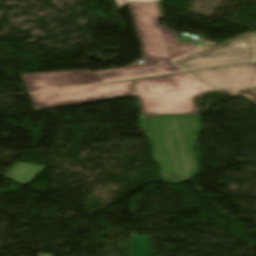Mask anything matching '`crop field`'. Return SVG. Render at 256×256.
Returning <instances> with one entry per match:
<instances>
[{"mask_svg":"<svg viewBox=\"0 0 256 256\" xmlns=\"http://www.w3.org/2000/svg\"><path fill=\"white\" fill-rule=\"evenodd\" d=\"M190 73L224 95H243L256 103V62Z\"/></svg>","mask_w":256,"mask_h":256,"instance_id":"obj_5","label":"crop field"},{"mask_svg":"<svg viewBox=\"0 0 256 256\" xmlns=\"http://www.w3.org/2000/svg\"><path fill=\"white\" fill-rule=\"evenodd\" d=\"M134 81L143 116L197 114L194 98L215 91L188 72Z\"/></svg>","mask_w":256,"mask_h":256,"instance_id":"obj_3","label":"crop field"},{"mask_svg":"<svg viewBox=\"0 0 256 256\" xmlns=\"http://www.w3.org/2000/svg\"><path fill=\"white\" fill-rule=\"evenodd\" d=\"M152 143L164 183L179 184L197 174L194 149L202 131L198 115L139 117Z\"/></svg>","mask_w":256,"mask_h":256,"instance_id":"obj_2","label":"crop field"},{"mask_svg":"<svg viewBox=\"0 0 256 256\" xmlns=\"http://www.w3.org/2000/svg\"><path fill=\"white\" fill-rule=\"evenodd\" d=\"M44 168L45 166L41 165L17 162L16 165L9 170L4 177L20 185L24 183L29 184Z\"/></svg>","mask_w":256,"mask_h":256,"instance_id":"obj_7","label":"crop field"},{"mask_svg":"<svg viewBox=\"0 0 256 256\" xmlns=\"http://www.w3.org/2000/svg\"><path fill=\"white\" fill-rule=\"evenodd\" d=\"M160 1V0H159Z\"/></svg>","mask_w":256,"mask_h":256,"instance_id":"obj_11","label":"crop field"},{"mask_svg":"<svg viewBox=\"0 0 256 256\" xmlns=\"http://www.w3.org/2000/svg\"><path fill=\"white\" fill-rule=\"evenodd\" d=\"M131 81L30 95L36 111L134 96Z\"/></svg>","mask_w":256,"mask_h":256,"instance_id":"obj_4","label":"crop field"},{"mask_svg":"<svg viewBox=\"0 0 256 256\" xmlns=\"http://www.w3.org/2000/svg\"><path fill=\"white\" fill-rule=\"evenodd\" d=\"M131 2H156L155 0H116L118 9L123 8Z\"/></svg>","mask_w":256,"mask_h":256,"instance_id":"obj_9","label":"crop field"},{"mask_svg":"<svg viewBox=\"0 0 256 256\" xmlns=\"http://www.w3.org/2000/svg\"><path fill=\"white\" fill-rule=\"evenodd\" d=\"M212 46H214V45H207V46L201 47V48H199V49H197V50H194V51H192V52H190V53H187V54H185V55H183V56H181V57H179V58H177V59H175V60H173V61L176 63V62H178V61H180V60H183V59H185V58H187V57H189V56H192V55H194V54H196V53H198V52H201V51H203V50H205V49H208V48H210V47H212Z\"/></svg>","mask_w":256,"mask_h":256,"instance_id":"obj_10","label":"crop field"},{"mask_svg":"<svg viewBox=\"0 0 256 256\" xmlns=\"http://www.w3.org/2000/svg\"><path fill=\"white\" fill-rule=\"evenodd\" d=\"M145 57L122 68L86 73L80 71L21 75L29 93L179 71L171 59L198 48L178 42L175 32L158 25L162 19L156 3L129 5Z\"/></svg>","mask_w":256,"mask_h":256,"instance_id":"obj_1","label":"crop field"},{"mask_svg":"<svg viewBox=\"0 0 256 256\" xmlns=\"http://www.w3.org/2000/svg\"><path fill=\"white\" fill-rule=\"evenodd\" d=\"M131 256H150L149 236H132Z\"/></svg>","mask_w":256,"mask_h":256,"instance_id":"obj_8","label":"crop field"},{"mask_svg":"<svg viewBox=\"0 0 256 256\" xmlns=\"http://www.w3.org/2000/svg\"><path fill=\"white\" fill-rule=\"evenodd\" d=\"M252 59H256V31L245 33L176 64L192 69Z\"/></svg>","mask_w":256,"mask_h":256,"instance_id":"obj_6","label":"crop field"}]
</instances>
